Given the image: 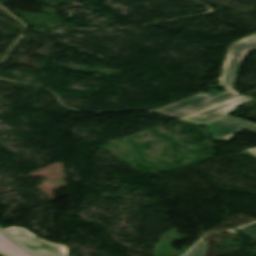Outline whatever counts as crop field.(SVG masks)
Segmentation results:
<instances>
[{"mask_svg": "<svg viewBox=\"0 0 256 256\" xmlns=\"http://www.w3.org/2000/svg\"><path fill=\"white\" fill-rule=\"evenodd\" d=\"M250 49H256V33L241 38L233 42L228 47L225 62L219 78V83L222 84L228 92L212 98L202 93L177 104L155 110V112L169 116L183 117L205 107L240 95L239 93L233 91L231 87L234 81L237 66L242 60L245 52Z\"/></svg>", "mask_w": 256, "mask_h": 256, "instance_id": "8a807250", "label": "crop field"}, {"mask_svg": "<svg viewBox=\"0 0 256 256\" xmlns=\"http://www.w3.org/2000/svg\"><path fill=\"white\" fill-rule=\"evenodd\" d=\"M9 235L14 237L32 252L41 256H66L63 247L37 238L24 228L6 227L4 229Z\"/></svg>", "mask_w": 256, "mask_h": 256, "instance_id": "ac0d7876", "label": "crop field"}, {"mask_svg": "<svg viewBox=\"0 0 256 256\" xmlns=\"http://www.w3.org/2000/svg\"><path fill=\"white\" fill-rule=\"evenodd\" d=\"M250 100H252L251 96L240 95L222 103L190 114L188 116H185L182 119L204 124L215 118L222 117L236 111L239 105Z\"/></svg>", "mask_w": 256, "mask_h": 256, "instance_id": "34b2d1b8", "label": "crop field"}, {"mask_svg": "<svg viewBox=\"0 0 256 256\" xmlns=\"http://www.w3.org/2000/svg\"><path fill=\"white\" fill-rule=\"evenodd\" d=\"M242 128L256 132V125L230 117H224L208 124L207 131L214 136L213 139L230 142L236 133L241 132Z\"/></svg>", "mask_w": 256, "mask_h": 256, "instance_id": "412701ff", "label": "crop field"}, {"mask_svg": "<svg viewBox=\"0 0 256 256\" xmlns=\"http://www.w3.org/2000/svg\"><path fill=\"white\" fill-rule=\"evenodd\" d=\"M0 253L5 256H31L0 232Z\"/></svg>", "mask_w": 256, "mask_h": 256, "instance_id": "f4fd0767", "label": "crop field"}, {"mask_svg": "<svg viewBox=\"0 0 256 256\" xmlns=\"http://www.w3.org/2000/svg\"><path fill=\"white\" fill-rule=\"evenodd\" d=\"M206 252H207V242L200 241L184 256H205Z\"/></svg>", "mask_w": 256, "mask_h": 256, "instance_id": "dd49c442", "label": "crop field"}, {"mask_svg": "<svg viewBox=\"0 0 256 256\" xmlns=\"http://www.w3.org/2000/svg\"><path fill=\"white\" fill-rule=\"evenodd\" d=\"M245 234L256 240V223L247 225L245 227L239 228Z\"/></svg>", "mask_w": 256, "mask_h": 256, "instance_id": "e52e79f7", "label": "crop field"}, {"mask_svg": "<svg viewBox=\"0 0 256 256\" xmlns=\"http://www.w3.org/2000/svg\"><path fill=\"white\" fill-rule=\"evenodd\" d=\"M253 153L256 154V150L254 148L250 149Z\"/></svg>", "mask_w": 256, "mask_h": 256, "instance_id": "d8731c3e", "label": "crop field"}, {"mask_svg": "<svg viewBox=\"0 0 256 256\" xmlns=\"http://www.w3.org/2000/svg\"><path fill=\"white\" fill-rule=\"evenodd\" d=\"M256 149V148H255Z\"/></svg>", "mask_w": 256, "mask_h": 256, "instance_id": "5a996713", "label": "crop field"}]
</instances>
